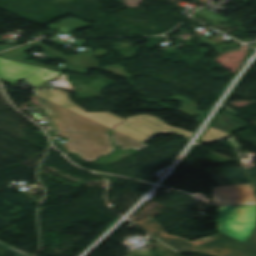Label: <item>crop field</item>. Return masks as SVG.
I'll return each instance as SVG.
<instances>
[{"label":"crop field","mask_w":256,"mask_h":256,"mask_svg":"<svg viewBox=\"0 0 256 256\" xmlns=\"http://www.w3.org/2000/svg\"><path fill=\"white\" fill-rule=\"evenodd\" d=\"M171 99L174 100V101H187V102H189V100L184 99V98H180V97H178V96H175V97H173V98H171Z\"/></svg>","instance_id":"23"},{"label":"crop field","mask_w":256,"mask_h":256,"mask_svg":"<svg viewBox=\"0 0 256 256\" xmlns=\"http://www.w3.org/2000/svg\"><path fill=\"white\" fill-rule=\"evenodd\" d=\"M191 106L194 108L198 107L197 105H195L193 103H181V108L178 111H180L186 115H189L191 117H194V118H195V116H199V118H197V119L201 120L204 116V113L190 108Z\"/></svg>","instance_id":"16"},{"label":"crop field","mask_w":256,"mask_h":256,"mask_svg":"<svg viewBox=\"0 0 256 256\" xmlns=\"http://www.w3.org/2000/svg\"><path fill=\"white\" fill-rule=\"evenodd\" d=\"M195 14H197V15H199V16H201V17H203V18H205V19H207V20H209L213 23L227 21V20H224V18H222V17H220V16H218V15H216V14L210 12V11H207L205 9H203V10H201V11L195 13ZM218 19H221V20H218Z\"/></svg>","instance_id":"18"},{"label":"crop field","mask_w":256,"mask_h":256,"mask_svg":"<svg viewBox=\"0 0 256 256\" xmlns=\"http://www.w3.org/2000/svg\"><path fill=\"white\" fill-rule=\"evenodd\" d=\"M218 186L249 184L241 168L210 171Z\"/></svg>","instance_id":"9"},{"label":"crop field","mask_w":256,"mask_h":256,"mask_svg":"<svg viewBox=\"0 0 256 256\" xmlns=\"http://www.w3.org/2000/svg\"><path fill=\"white\" fill-rule=\"evenodd\" d=\"M255 188V192H256V187H254Z\"/></svg>","instance_id":"26"},{"label":"crop field","mask_w":256,"mask_h":256,"mask_svg":"<svg viewBox=\"0 0 256 256\" xmlns=\"http://www.w3.org/2000/svg\"><path fill=\"white\" fill-rule=\"evenodd\" d=\"M58 74H60V73L44 69V70L30 76L29 78H27L25 80L28 81L31 85H33L36 88L37 86L42 84L44 81H46L48 79H52V78L56 77Z\"/></svg>","instance_id":"15"},{"label":"crop field","mask_w":256,"mask_h":256,"mask_svg":"<svg viewBox=\"0 0 256 256\" xmlns=\"http://www.w3.org/2000/svg\"><path fill=\"white\" fill-rule=\"evenodd\" d=\"M245 172L251 180L252 184L256 186V169L245 170Z\"/></svg>","instance_id":"20"},{"label":"crop field","mask_w":256,"mask_h":256,"mask_svg":"<svg viewBox=\"0 0 256 256\" xmlns=\"http://www.w3.org/2000/svg\"><path fill=\"white\" fill-rule=\"evenodd\" d=\"M33 44L58 56L59 58L63 59L64 61H66L76 67L95 68L96 66H98L97 61H95L93 58H91L87 53H81L79 55H76V56H73L70 58H65L64 56L56 53L55 51L49 49L48 47L44 46L43 44H41L39 42L33 43ZM108 52L109 51L99 48L97 51L91 53V55L101 57V56L107 54ZM112 67H114V69L109 67V68H105L104 70L113 72L118 75H122L126 78L131 76V75L127 74L126 71L124 70V68L121 66H112ZM98 68H101V67H98ZM115 69H118V71H116Z\"/></svg>","instance_id":"7"},{"label":"crop field","mask_w":256,"mask_h":256,"mask_svg":"<svg viewBox=\"0 0 256 256\" xmlns=\"http://www.w3.org/2000/svg\"><path fill=\"white\" fill-rule=\"evenodd\" d=\"M156 246L158 250L155 252L144 249L141 251L132 250L128 254L129 256H180L177 252L173 251L159 241L156 243Z\"/></svg>","instance_id":"13"},{"label":"crop field","mask_w":256,"mask_h":256,"mask_svg":"<svg viewBox=\"0 0 256 256\" xmlns=\"http://www.w3.org/2000/svg\"><path fill=\"white\" fill-rule=\"evenodd\" d=\"M84 117H87L91 120H94L96 122H99L109 128H113L116 123H120L123 121L122 118H119L117 116H114L108 112L105 113H86L82 115Z\"/></svg>","instance_id":"14"},{"label":"crop field","mask_w":256,"mask_h":256,"mask_svg":"<svg viewBox=\"0 0 256 256\" xmlns=\"http://www.w3.org/2000/svg\"><path fill=\"white\" fill-rule=\"evenodd\" d=\"M214 204L256 203L250 185L212 188Z\"/></svg>","instance_id":"6"},{"label":"crop field","mask_w":256,"mask_h":256,"mask_svg":"<svg viewBox=\"0 0 256 256\" xmlns=\"http://www.w3.org/2000/svg\"><path fill=\"white\" fill-rule=\"evenodd\" d=\"M90 26L91 25L89 23L83 22L75 18H71L67 20H62L61 23L50 25L48 27H50L53 30L51 32L55 33L53 35H57V34L64 35V34L71 33L72 30L90 27Z\"/></svg>","instance_id":"11"},{"label":"crop field","mask_w":256,"mask_h":256,"mask_svg":"<svg viewBox=\"0 0 256 256\" xmlns=\"http://www.w3.org/2000/svg\"><path fill=\"white\" fill-rule=\"evenodd\" d=\"M229 135L218 131L212 127H210V129L208 130V132L205 134V136L203 137V140L210 142V141H214V140H218V139H222L225 138Z\"/></svg>","instance_id":"17"},{"label":"crop field","mask_w":256,"mask_h":256,"mask_svg":"<svg viewBox=\"0 0 256 256\" xmlns=\"http://www.w3.org/2000/svg\"><path fill=\"white\" fill-rule=\"evenodd\" d=\"M205 41L207 44H211V45H216V44H219V43H223L224 41L221 40V39H205L203 40Z\"/></svg>","instance_id":"21"},{"label":"crop field","mask_w":256,"mask_h":256,"mask_svg":"<svg viewBox=\"0 0 256 256\" xmlns=\"http://www.w3.org/2000/svg\"><path fill=\"white\" fill-rule=\"evenodd\" d=\"M35 95L58 104L66 109H69L79 115L85 113V110L71 103L66 92L62 90H38L34 91Z\"/></svg>","instance_id":"10"},{"label":"crop field","mask_w":256,"mask_h":256,"mask_svg":"<svg viewBox=\"0 0 256 256\" xmlns=\"http://www.w3.org/2000/svg\"><path fill=\"white\" fill-rule=\"evenodd\" d=\"M248 245H250V246L256 248V231H255V233L253 234L251 240L248 242Z\"/></svg>","instance_id":"22"},{"label":"crop field","mask_w":256,"mask_h":256,"mask_svg":"<svg viewBox=\"0 0 256 256\" xmlns=\"http://www.w3.org/2000/svg\"><path fill=\"white\" fill-rule=\"evenodd\" d=\"M57 136L66 137L64 144L70 152L78 153L87 161H94L101 155L113 151L108 135L55 132Z\"/></svg>","instance_id":"4"},{"label":"crop field","mask_w":256,"mask_h":256,"mask_svg":"<svg viewBox=\"0 0 256 256\" xmlns=\"http://www.w3.org/2000/svg\"><path fill=\"white\" fill-rule=\"evenodd\" d=\"M53 126V131L109 134L110 129L68 111L58 105H43Z\"/></svg>","instance_id":"3"},{"label":"crop field","mask_w":256,"mask_h":256,"mask_svg":"<svg viewBox=\"0 0 256 256\" xmlns=\"http://www.w3.org/2000/svg\"><path fill=\"white\" fill-rule=\"evenodd\" d=\"M111 136H112L113 144L122 150H124L128 147H133L135 149L141 150V149H144L147 146H149L145 143H142L138 140L128 137L122 133L115 131V130H113L111 132Z\"/></svg>","instance_id":"12"},{"label":"crop field","mask_w":256,"mask_h":256,"mask_svg":"<svg viewBox=\"0 0 256 256\" xmlns=\"http://www.w3.org/2000/svg\"><path fill=\"white\" fill-rule=\"evenodd\" d=\"M190 134H191L190 132H187V131H186L184 136L187 137V138H189Z\"/></svg>","instance_id":"25"},{"label":"crop field","mask_w":256,"mask_h":256,"mask_svg":"<svg viewBox=\"0 0 256 256\" xmlns=\"http://www.w3.org/2000/svg\"><path fill=\"white\" fill-rule=\"evenodd\" d=\"M41 69L43 68L0 58V79L8 83L23 80Z\"/></svg>","instance_id":"8"},{"label":"crop field","mask_w":256,"mask_h":256,"mask_svg":"<svg viewBox=\"0 0 256 256\" xmlns=\"http://www.w3.org/2000/svg\"><path fill=\"white\" fill-rule=\"evenodd\" d=\"M36 97H37V96H36ZM37 99L40 101L41 104H53V103H51V102H49V101H46V100H44V99H42V98H40V97H37Z\"/></svg>","instance_id":"24"},{"label":"crop field","mask_w":256,"mask_h":256,"mask_svg":"<svg viewBox=\"0 0 256 256\" xmlns=\"http://www.w3.org/2000/svg\"><path fill=\"white\" fill-rule=\"evenodd\" d=\"M256 206L218 207V231L243 243L255 227Z\"/></svg>","instance_id":"2"},{"label":"crop field","mask_w":256,"mask_h":256,"mask_svg":"<svg viewBox=\"0 0 256 256\" xmlns=\"http://www.w3.org/2000/svg\"><path fill=\"white\" fill-rule=\"evenodd\" d=\"M127 122L118 125L115 130L129 135L142 142L163 133L184 135V130L166 125L162 120L148 115L126 118Z\"/></svg>","instance_id":"5"},{"label":"crop field","mask_w":256,"mask_h":256,"mask_svg":"<svg viewBox=\"0 0 256 256\" xmlns=\"http://www.w3.org/2000/svg\"><path fill=\"white\" fill-rule=\"evenodd\" d=\"M135 223L181 252H199L208 256H256V249L222 233L216 234L215 238L205 242H189L166 235L152 217L135 221Z\"/></svg>","instance_id":"1"},{"label":"crop field","mask_w":256,"mask_h":256,"mask_svg":"<svg viewBox=\"0 0 256 256\" xmlns=\"http://www.w3.org/2000/svg\"><path fill=\"white\" fill-rule=\"evenodd\" d=\"M0 247L5 249V250H7V251H9V252H11V253H13V254H15L16 256H29V254H26L24 252H21V251H18L16 249H13V248H11V247H9V246L1 243V242H0Z\"/></svg>","instance_id":"19"}]
</instances>
